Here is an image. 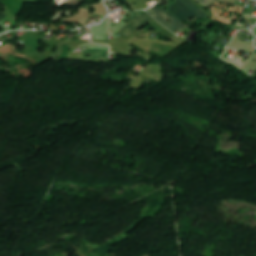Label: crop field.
<instances>
[{
	"label": "crop field",
	"instance_id": "1",
	"mask_svg": "<svg viewBox=\"0 0 256 256\" xmlns=\"http://www.w3.org/2000/svg\"><path fill=\"white\" fill-rule=\"evenodd\" d=\"M187 2H189V4H187ZM168 11L182 22L188 19L190 16H194L197 20L199 18L203 19L207 17V15L197 8L190 0H176ZM177 11L179 13L175 14Z\"/></svg>",
	"mask_w": 256,
	"mask_h": 256
},
{
	"label": "crop field",
	"instance_id": "5",
	"mask_svg": "<svg viewBox=\"0 0 256 256\" xmlns=\"http://www.w3.org/2000/svg\"><path fill=\"white\" fill-rule=\"evenodd\" d=\"M4 18H6V15H5V14H3V15L0 17V21H1L2 19H4Z\"/></svg>",
	"mask_w": 256,
	"mask_h": 256
},
{
	"label": "crop field",
	"instance_id": "4",
	"mask_svg": "<svg viewBox=\"0 0 256 256\" xmlns=\"http://www.w3.org/2000/svg\"><path fill=\"white\" fill-rule=\"evenodd\" d=\"M107 50L108 49H90L88 51H84V53L99 54L97 58H85V59H109L107 57L108 55Z\"/></svg>",
	"mask_w": 256,
	"mask_h": 256
},
{
	"label": "crop field",
	"instance_id": "2",
	"mask_svg": "<svg viewBox=\"0 0 256 256\" xmlns=\"http://www.w3.org/2000/svg\"><path fill=\"white\" fill-rule=\"evenodd\" d=\"M157 21H159L162 25L170 29L171 31H179L183 29H187L182 23L177 20L173 15H171L165 8L158 9L156 7L150 8L147 10ZM171 19L170 23L166 22L167 18Z\"/></svg>",
	"mask_w": 256,
	"mask_h": 256
},
{
	"label": "crop field",
	"instance_id": "3",
	"mask_svg": "<svg viewBox=\"0 0 256 256\" xmlns=\"http://www.w3.org/2000/svg\"><path fill=\"white\" fill-rule=\"evenodd\" d=\"M153 19L151 16H149L146 12L137 17L135 20L127 24L125 27H123L121 30L117 32L116 35L123 36L126 38H129V36L136 31L139 27L147 23Z\"/></svg>",
	"mask_w": 256,
	"mask_h": 256
}]
</instances>
